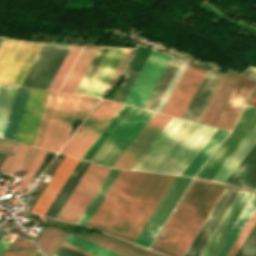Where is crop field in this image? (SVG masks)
<instances>
[{"mask_svg": "<svg viewBox=\"0 0 256 256\" xmlns=\"http://www.w3.org/2000/svg\"><path fill=\"white\" fill-rule=\"evenodd\" d=\"M2 38L0 37V42H1Z\"/></svg>", "mask_w": 256, "mask_h": 256, "instance_id": "obj_50", "label": "crop field"}, {"mask_svg": "<svg viewBox=\"0 0 256 256\" xmlns=\"http://www.w3.org/2000/svg\"><path fill=\"white\" fill-rule=\"evenodd\" d=\"M46 152H47L46 150L40 149V151H39L35 161L33 162L30 170L27 171V173L25 174V176L23 177V179L21 180V182L19 183V185L15 189L16 192H20V193L22 192V190L24 189V187L26 186V184L28 183V181L30 180V178L32 177V175L34 174L36 169L41 164Z\"/></svg>", "mask_w": 256, "mask_h": 256, "instance_id": "obj_39", "label": "crop field"}, {"mask_svg": "<svg viewBox=\"0 0 256 256\" xmlns=\"http://www.w3.org/2000/svg\"><path fill=\"white\" fill-rule=\"evenodd\" d=\"M59 250L65 252V253H68V254H70L72 256H85V255H83L81 253H78V252H76V251H74L72 249H69V248H67V247H65L63 245L60 246Z\"/></svg>", "mask_w": 256, "mask_h": 256, "instance_id": "obj_44", "label": "crop field"}, {"mask_svg": "<svg viewBox=\"0 0 256 256\" xmlns=\"http://www.w3.org/2000/svg\"><path fill=\"white\" fill-rule=\"evenodd\" d=\"M56 254H58V255H60V256H70V255H68V254H65V253L59 251V250H57Z\"/></svg>", "mask_w": 256, "mask_h": 256, "instance_id": "obj_49", "label": "crop field"}, {"mask_svg": "<svg viewBox=\"0 0 256 256\" xmlns=\"http://www.w3.org/2000/svg\"><path fill=\"white\" fill-rule=\"evenodd\" d=\"M63 245H65V246H67V247H69V248H72V249H74V250H76V251H78V252H81V253H83V254H85V255H87V256H94V255H92V254H90V253H88V252H85V251H83V250L77 248V247H73V246H71V245H69V244H67V243H65V242H63Z\"/></svg>", "mask_w": 256, "mask_h": 256, "instance_id": "obj_45", "label": "crop field"}, {"mask_svg": "<svg viewBox=\"0 0 256 256\" xmlns=\"http://www.w3.org/2000/svg\"><path fill=\"white\" fill-rule=\"evenodd\" d=\"M97 47H84L61 91L73 93Z\"/></svg>", "mask_w": 256, "mask_h": 256, "instance_id": "obj_28", "label": "crop field"}, {"mask_svg": "<svg viewBox=\"0 0 256 256\" xmlns=\"http://www.w3.org/2000/svg\"><path fill=\"white\" fill-rule=\"evenodd\" d=\"M70 46L43 44L21 86L47 90Z\"/></svg>", "mask_w": 256, "mask_h": 256, "instance_id": "obj_11", "label": "crop field"}, {"mask_svg": "<svg viewBox=\"0 0 256 256\" xmlns=\"http://www.w3.org/2000/svg\"><path fill=\"white\" fill-rule=\"evenodd\" d=\"M120 172L121 170L111 169V171L103 181L102 185L100 186V188L98 189V191L86 207L85 211L77 221V224L86 226L91 216L103 200L104 196L106 195V193L108 192V190L110 189V187L112 186Z\"/></svg>", "mask_w": 256, "mask_h": 256, "instance_id": "obj_27", "label": "crop field"}, {"mask_svg": "<svg viewBox=\"0 0 256 256\" xmlns=\"http://www.w3.org/2000/svg\"><path fill=\"white\" fill-rule=\"evenodd\" d=\"M29 146L20 144L16 154L14 157L7 155L1 170H5L10 173H14L16 167L19 165V163L22 161L27 149Z\"/></svg>", "mask_w": 256, "mask_h": 256, "instance_id": "obj_36", "label": "crop field"}, {"mask_svg": "<svg viewBox=\"0 0 256 256\" xmlns=\"http://www.w3.org/2000/svg\"><path fill=\"white\" fill-rule=\"evenodd\" d=\"M181 61L182 60H180V59L171 57L168 65L166 66L158 83L156 84L149 99L147 100V102L144 106V109L154 111L156 105L158 104L160 98L162 97L164 91L166 90L169 82L171 81V79H172L173 75L175 74L177 68L179 67Z\"/></svg>", "mask_w": 256, "mask_h": 256, "instance_id": "obj_26", "label": "crop field"}, {"mask_svg": "<svg viewBox=\"0 0 256 256\" xmlns=\"http://www.w3.org/2000/svg\"><path fill=\"white\" fill-rule=\"evenodd\" d=\"M238 193V190L225 189L183 256L200 255ZM253 196L254 194L252 193L240 191L200 256H216L234 227V222L238 221Z\"/></svg>", "mask_w": 256, "mask_h": 256, "instance_id": "obj_3", "label": "crop field"}, {"mask_svg": "<svg viewBox=\"0 0 256 256\" xmlns=\"http://www.w3.org/2000/svg\"><path fill=\"white\" fill-rule=\"evenodd\" d=\"M39 151V148H35V147H29L23 161L21 162V164L19 165V167L17 168V170H26L30 167V165L32 164V162L34 161L37 153Z\"/></svg>", "mask_w": 256, "mask_h": 256, "instance_id": "obj_42", "label": "crop field"}, {"mask_svg": "<svg viewBox=\"0 0 256 256\" xmlns=\"http://www.w3.org/2000/svg\"><path fill=\"white\" fill-rule=\"evenodd\" d=\"M224 188L194 179L151 249L182 256Z\"/></svg>", "mask_w": 256, "mask_h": 256, "instance_id": "obj_2", "label": "crop field"}, {"mask_svg": "<svg viewBox=\"0 0 256 256\" xmlns=\"http://www.w3.org/2000/svg\"><path fill=\"white\" fill-rule=\"evenodd\" d=\"M121 106L101 100L60 153L80 158Z\"/></svg>", "mask_w": 256, "mask_h": 256, "instance_id": "obj_10", "label": "crop field"}, {"mask_svg": "<svg viewBox=\"0 0 256 256\" xmlns=\"http://www.w3.org/2000/svg\"><path fill=\"white\" fill-rule=\"evenodd\" d=\"M107 50L108 48L98 47L95 55L93 56L90 64L88 65L84 75L82 76L79 84L74 91L75 94L84 95ZM133 50L134 49H128L127 51V49L125 48H109L85 95L101 97L103 91L105 90L107 84L109 83L126 51V55L124 56L122 62L120 63L104 93L119 77Z\"/></svg>", "mask_w": 256, "mask_h": 256, "instance_id": "obj_6", "label": "crop field"}, {"mask_svg": "<svg viewBox=\"0 0 256 256\" xmlns=\"http://www.w3.org/2000/svg\"><path fill=\"white\" fill-rule=\"evenodd\" d=\"M9 245V243L4 240L1 244H0V254L3 252V250ZM5 251V250H4Z\"/></svg>", "mask_w": 256, "mask_h": 256, "instance_id": "obj_46", "label": "crop field"}, {"mask_svg": "<svg viewBox=\"0 0 256 256\" xmlns=\"http://www.w3.org/2000/svg\"><path fill=\"white\" fill-rule=\"evenodd\" d=\"M255 222H256V210L254 211L253 215L251 216L248 223L244 227L243 231L240 233L239 237L235 241L234 245L230 249L227 256H235V254L237 253L238 249L242 245L243 241L245 240L246 236L250 232V230L253 227V225L255 224Z\"/></svg>", "mask_w": 256, "mask_h": 256, "instance_id": "obj_38", "label": "crop field"}, {"mask_svg": "<svg viewBox=\"0 0 256 256\" xmlns=\"http://www.w3.org/2000/svg\"><path fill=\"white\" fill-rule=\"evenodd\" d=\"M65 242H68L74 246H77L83 250H86L94 255L97 256H119L117 254H114L108 250H105L99 246H96L90 242H87L81 238H78L72 234H70L66 239Z\"/></svg>", "mask_w": 256, "mask_h": 256, "instance_id": "obj_33", "label": "crop field"}, {"mask_svg": "<svg viewBox=\"0 0 256 256\" xmlns=\"http://www.w3.org/2000/svg\"><path fill=\"white\" fill-rule=\"evenodd\" d=\"M255 143H256V126L250 132V134L246 137V139L242 142V144L238 147V149L234 152V154L230 157V159L226 162V164L222 167V169L218 172V174L214 177L213 180L225 183V181L237 168V166L248 154V152L255 145Z\"/></svg>", "mask_w": 256, "mask_h": 256, "instance_id": "obj_22", "label": "crop field"}, {"mask_svg": "<svg viewBox=\"0 0 256 256\" xmlns=\"http://www.w3.org/2000/svg\"><path fill=\"white\" fill-rule=\"evenodd\" d=\"M17 87L0 85V136L6 126L13 98Z\"/></svg>", "mask_w": 256, "mask_h": 256, "instance_id": "obj_30", "label": "crop field"}, {"mask_svg": "<svg viewBox=\"0 0 256 256\" xmlns=\"http://www.w3.org/2000/svg\"><path fill=\"white\" fill-rule=\"evenodd\" d=\"M39 252H40V251H39V249L37 248V249L35 250V252H34L31 256H36ZM37 256H44V255L41 254V252H40Z\"/></svg>", "mask_w": 256, "mask_h": 256, "instance_id": "obj_48", "label": "crop field"}, {"mask_svg": "<svg viewBox=\"0 0 256 256\" xmlns=\"http://www.w3.org/2000/svg\"><path fill=\"white\" fill-rule=\"evenodd\" d=\"M77 236L84 238L92 243H95L101 247H104L110 251H113L121 256H157L155 254L149 253L147 251L128 245L113 238L92 235Z\"/></svg>", "mask_w": 256, "mask_h": 256, "instance_id": "obj_23", "label": "crop field"}, {"mask_svg": "<svg viewBox=\"0 0 256 256\" xmlns=\"http://www.w3.org/2000/svg\"><path fill=\"white\" fill-rule=\"evenodd\" d=\"M99 100L100 99L82 96L75 118L84 120Z\"/></svg>", "mask_w": 256, "mask_h": 256, "instance_id": "obj_40", "label": "crop field"}, {"mask_svg": "<svg viewBox=\"0 0 256 256\" xmlns=\"http://www.w3.org/2000/svg\"><path fill=\"white\" fill-rule=\"evenodd\" d=\"M229 132L217 129L181 175L193 177Z\"/></svg>", "mask_w": 256, "mask_h": 256, "instance_id": "obj_24", "label": "crop field"}, {"mask_svg": "<svg viewBox=\"0 0 256 256\" xmlns=\"http://www.w3.org/2000/svg\"><path fill=\"white\" fill-rule=\"evenodd\" d=\"M56 155V153L53 152H47L42 164L37 169L36 173L34 174L33 178L36 179L37 176L40 174V172L45 168V166L52 160V158Z\"/></svg>", "mask_w": 256, "mask_h": 256, "instance_id": "obj_43", "label": "crop field"}, {"mask_svg": "<svg viewBox=\"0 0 256 256\" xmlns=\"http://www.w3.org/2000/svg\"><path fill=\"white\" fill-rule=\"evenodd\" d=\"M41 46L3 38L0 44V83L20 86Z\"/></svg>", "mask_w": 256, "mask_h": 256, "instance_id": "obj_9", "label": "crop field"}, {"mask_svg": "<svg viewBox=\"0 0 256 256\" xmlns=\"http://www.w3.org/2000/svg\"><path fill=\"white\" fill-rule=\"evenodd\" d=\"M83 163L82 160H79V162L77 163L76 167L74 168V170L72 171L71 175L69 176V178L67 179V181L65 182L64 186L62 187V189L60 190L59 194L57 195V197L55 198V200L53 201L52 205L50 206V208L48 209L47 213L45 214L46 217H49V215L51 214L52 210L54 209V207L56 206L57 202L59 201V199L61 198V196L63 195L64 191L66 190V188L68 187L69 183L71 182V180L73 179V177L75 176L76 172L78 171V169L80 168L81 164Z\"/></svg>", "mask_w": 256, "mask_h": 256, "instance_id": "obj_41", "label": "crop field"}, {"mask_svg": "<svg viewBox=\"0 0 256 256\" xmlns=\"http://www.w3.org/2000/svg\"><path fill=\"white\" fill-rule=\"evenodd\" d=\"M149 176L148 173L122 170L87 227L113 235Z\"/></svg>", "mask_w": 256, "mask_h": 256, "instance_id": "obj_4", "label": "crop field"}, {"mask_svg": "<svg viewBox=\"0 0 256 256\" xmlns=\"http://www.w3.org/2000/svg\"><path fill=\"white\" fill-rule=\"evenodd\" d=\"M255 84V82L241 75L228 102L226 103L224 109L219 115L217 121L215 122V127L227 130L232 129L242 107L250 96Z\"/></svg>", "mask_w": 256, "mask_h": 256, "instance_id": "obj_19", "label": "crop field"}, {"mask_svg": "<svg viewBox=\"0 0 256 256\" xmlns=\"http://www.w3.org/2000/svg\"><path fill=\"white\" fill-rule=\"evenodd\" d=\"M130 106L123 105L122 108L117 112V114L113 117V119L109 122V124L104 128V130L100 133V135L95 139V141L91 144V146L87 149V151L82 155L81 159H85L90 161L94 154L98 151V149L102 146L105 140L109 137L112 131L116 128L119 122L123 119V117L130 110ZM132 109V108H131Z\"/></svg>", "mask_w": 256, "mask_h": 256, "instance_id": "obj_29", "label": "crop field"}, {"mask_svg": "<svg viewBox=\"0 0 256 256\" xmlns=\"http://www.w3.org/2000/svg\"><path fill=\"white\" fill-rule=\"evenodd\" d=\"M9 233H4V232H2L1 230H0V243H1V241L8 235Z\"/></svg>", "mask_w": 256, "mask_h": 256, "instance_id": "obj_47", "label": "crop field"}, {"mask_svg": "<svg viewBox=\"0 0 256 256\" xmlns=\"http://www.w3.org/2000/svg\"><path fill=\"white\" fill-rule=\"evenodd\" d=\"M81 96L50 92L34 146L58 152L69 137Z\"/></svg>", "mask_w": 256, "mask_h": 256, "instance_id": "obj_5", "label": "crop field"}, {"mask_svg": "<svg viewBox=\"0 0 256 256\" xmlns=\"http://www.w3.org/2000/svg\"><path fill=\"white\" fill-rule=\"evenodd\" d=\"M224 75L207 70L182 118L199 122Z\"/></svg>", "mask_w": 256, "mask_h": 256, "instance_id": "obj_18", "label": "crop field"}, {"mask_svg": "<svg viewBox=\"0 0 256 256\" xmlns=\"http://www.w3.org/2000/svg\"><path fill=\"white\" fill-rule=\"evenodd\" d=\"M36 248L34 243L25 239L21 242L13 240L1 256H30Z\"/></svg>", "mask_w": 256, "mask_h": 256, "instance_id": "obj_34", "label": "crop field"}, {"mask_svg": "<svg viewBox=\"0 0 256 256\" xmlns=\"http://www.w3.org/2000/svg\"><path fill=\"white\" fill-rule=\"evenodd\" d=\"M255 208H256V195L254 196V198L252 199V201L250 202V204L246 208L245 212L243 213V215L241 216V218L239 219V221L235 225V227H234L235 229H233L232 233L228 237L227 241L225 242V244L223 245V247L221 248V250L219 251L217 256H226L227 252L229 251L232 244L236 240L240 231H242L243 227L247 223L248 219L252 215Z\"/></svg>", "mask_w": 256, "mask_h": 256, "instance_id": "obj_31", "label": "crop field"}, {"mask_svg": "<svg viewBox=\"0 0 256 256\" xmlns=\"http://www.w3.org/2000/svg\"><path fill=\"white\" fill-rule=\"evenodd\" d=\"M54 256H58V255L54 254Z\"/></svg>", "mask_w": 256, "mask_h": 256, "instance_id": "obj_51", "label": "crop field"}, {"mask_svg": "<svg viewBox=\"0 0 256 256\" xmlns=\"http://www.w3.org/2000/svg\"><path fill=\"white\" fill-rule=\"evenodd\" d=\"M173 179L151 174L114 235L134 242Z\"/></svg>", "mask_w": 256, "mask_h": 256, "instance_id": "obj_7", "label": "crop field"}, {"mask_svg": "<svg viewBox=\"0 0 256 256\" xmlns=\"http://www.w3.org/2000/svg\"><path fill=\"white\" fill-rule=\"evenodd\" d=\"M89 165H90V162L84 161V163L82 164L81 168L79 169V171L77 172L76 176L74 177V179L70 183L69 187L67 188V190L65 191L64 195L62 196V198L58 202L57 206L53 210V212L50 215V217L56 218V216L58 215L59 211L61 210V208L63 207V205L67 201L68 197L70 196V194L72 193V191L76 187L77 183L79 182V180L81 179V177L83 176V174L85 173V171H86V169L88 168Z\"/></svg>", "mask_w": 256, "mask_h": 256, "instance_id": "obj_35", "label": "crop field"}, {"mask_svg": "<svg viewBox=\"0 0 256 256\" xmlns=\"http://www.w3.org/2000/svg\"><path fill=\"white\" fill-rule=\"evenodd\" d=\"M215 130L172 117L132 169L180 175Z\"/></svg>", "mask_w": 256, "mask_h": 256, "instance_id": "obj_1", "label": "crop field"}, {"mask_svg": "<svg viewBox=\"0 0 256 256\" xmlns=\"http://www.w3.org/2000/svg\"><path fill=\"white\" fill-rule=\"evenodd\" d=\"M241 74L229 70L207 107L200 123L213 126Z\"/></svg>", "mask_w": 256, "mask_h": 256, "instance_id": "obj_21", "label": "crop field"}, {"mask_svg": "<svg viewBox=\"0 0 256 256\" xmlns=\"http://www.w3.org/2000/svg\"><path fill=\"white\" fill-rule=\"evenodd\" d=\"M206 69L188 63L162 113L181 118Z\"/></svg>", "mask_w": 256, "mask_h": 256, "instance_id": "obj_16", "label": "crop field"}, {"mask_svg": "<svg viewBox=\"0 0 256 256\" xmlns=\"http://www.w3.org/2000/svg\"><path fill=\"white\" fill-rule=\"evenodd\" d=\"M91 163L79 184L57 216L58 219L76 223L85 207L110 171V168H98Z\"/></svg>", "mask_w": 256, "mask_h": 256, "instance_id": "obj_13", "label": "crop field"}, {"mask_svg": "<svg viewBox=\"0 0 256 256\" xmlns=\"http://www.w3.org/2000/svg\"><path fill=\"white\" fill-rule=\"evenodd\" d=\"M170 118L155 113L113 167L131 169Z\"/></svg>", "mask_w": 256, "mask_h": 256, "instance_id": "obj_17", "label": "crop field"}, {"mask_svg": "<svg viewBox=\"0 0 256 256\" xmlns=\"http://www.w3.org/2000/svg\"><path fill=\"white\" fill-rule=\"evenodd\" d=\"M170 57L152 50L124 104L143 108Z\"/></svg>", "mask_w": 256, "mask_h": 256, "instance_id": "obj_15", "label": "crop field"}, {"mask_svg": "<svg viewBox=\"0 0 256 256\" xmlns=\"http://www.w3.org/2000/svg\"><path fill=\"white\" fill-rule=\"evenodd\" d=\"M80 49H81V47L71 46L65 60L63 61L57 75L55 76L49 90L58 91L61 83L63 82L66 74L68 73V71H69L71 65L73 64L76 56L78 55Z\"/></svg>", "mask_w": 256, "mask_h": 256, "instance_id": "obj_32", "label": "crop field"}, {"mask_svg": "<svg viewBox=\"0 0 256 256\" xmlns=\"http://www.w3.org/2000/svg\"><path fill=\"white\" fill-rule=\"evenodd\" d=\"M154 112L132 107L91 162L112 167Z\"/></svg>", "mask_w": 256, "mask_h": 256, "instance_id": "obj_8", "label": "crop field"}, {"mask_svg": "<svg viewBox=\"0 0 256 256\" xmlns=\"http://www.w3.org/2000/svg\"><path fill=\"white\" fill-rule=\"evenodd\" d=\"M77 162L78 159L65 156L58 169L44 188L42 194L33 207L32 212L44 216Z\"/></svg>", "mask_w": 256, "mask_h": 256, "instance_id": "obj_20", "label": "crop field"}, {"mask_svg": "<svg viewBox=\"0 0 256 256\" xmlns=\"http://www.w3.org/2000/svg\"><path fill=\"white\" fill-rule=\"evenodd\" d=\"M256 124V107L247 105L234 130L196 176L211 181Z\"/></svg>", "mask_w": 256, "mask_h": 256, "instance_id": "obj_12", "label": "crop field"}, {"mask_svg": "<svg viewBox=\"0 0 256 256\" xmlns=\"http://www.w3.org/2000/svg\"><path fill=\"white\" fill-rule=\"evenodd\" d=\"M256 190V189H255Z\"/></svg>", "mask_w": 256, "mask_h": 256, "instance_id": "obj_52", "label": "crop field"}, {"mask_svg": "<svg viewBox=\"0 0 256 256\" xmlns=\"http://www.w3.org/2000/svg\"><path fill=\"white\" fill-rule=\"evenodd\" d=\"M190 181L191 179L175 177L144 228L138 235L135 243L149 247ZM152 229H154V231H152ZM149 234H151V236H149Z\"/></svg>", "mask_w": 256, "mask_h": 256, "instance_id": "obj_14", "label": "crop field"}, {"mask_svg": "<svg viewBox=\"0 0 256 256\" xmlns=\"http://www.w3.org/2000/svg\"><path fill=\"white\" fill-rule=\"evenodd\" d=\"M61 231L62 229L48 226L36 242L46 253V251L49 249V247L52 245V243L55 241Z\"/></svg>", "mask_w": 256, "mask_h": 256, "instance_id": "obj_37", "label": "crop field"}, {"mask_svg": "<svg viewBox=\"0 0 256 256\" xmlns=\"http://www.w3.org/2000/svg\"><path fill=\"white\" fill-rule=\"evenodd\" d=\"M29 90L30 89H27V88H21V87L17 88V92L14 98V102L9 115L7 126L4 132V136H3L4 138H7L13 141L15 140Z\"/></svg>", "mask_w": 256, "mask_h": 256, "instance_id": "obj_25", "label": "crop field"}]
</instances>
